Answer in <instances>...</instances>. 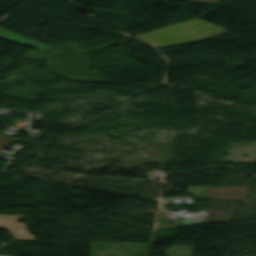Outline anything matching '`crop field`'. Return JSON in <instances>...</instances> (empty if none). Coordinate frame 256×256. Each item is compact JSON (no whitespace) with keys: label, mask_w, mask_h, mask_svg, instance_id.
Instances as JSON below:
<instances>
[{"label":"crop field","mask_w":256,"mask_h":256,"mask_svg":"<svg viewBox=\"0 0 256 256\" xmlns=\"http://www.w3.org/2000/svg\"><path fill=\"white\" fill-rule=\"evenodd\" d=\"M227 33L199 20H193L178 26L152 34L137 37L151 43L154 47L196 42Z\"/></svg>","instance_id":"8a807250"},{"label":"crop field","mask_w":256,"mask_h":256,"mask_svg":"<svg viewBox=\"0 0 256 256\" xmlns=\"http://www.w3.org/2000/svg\"><path fill=\"white\" fill-rule=\"evenodd\" d=\"M190 187L187 193L200 192L198 198L209 199H242L247 188H229V187ZM203 190V192H202ZM202 192V193H201Z\"/></svg>","instance_id":"ac0d7876"},{"label":"crop field","mask_w":256,"mask_h":256,"mask_svg":"<svg viewBox=\"0 0 256 256\" xmlns=\"http://www.w3.org/2000/svg\"><path fill=\"white\" fill-rule=\"evenodd\" d=\"M25 217L0 216V229H6L15 239L22 241L36 240L24 227L23 223H16Z\"/></svg>","instance_id":"34b2d1b8"},{"label":"crop field","mask_w":256,"mask_h":256,"mask_svg":"<svg viewBox=\"0 0 256 256\" xmlns=\"http://www.w3.org/2000/svg\"><path fill=\"white\" fill-rule=\"evenodd\" d=\"M18 140V138L0 136V150L12 145Z\"/></svg>","instance_id":"412701ff"},{"label":"crop field","mask_w":256,"mask_h":256,"mask_svg":"<svg viewBox=\"0 0 256 256\" xmlns=\"http://www.w3.org/2000/svg\"><path fill=\"white\" fill-rule=\"evenodd\" d=\"M184 1L203 2V3H212V4L217 3V0H184Z\"/></svg>","instance_id":"f4fd0767"}]
</instances>
